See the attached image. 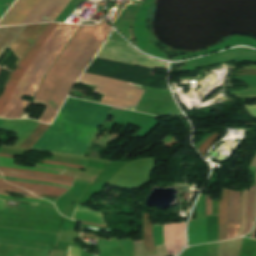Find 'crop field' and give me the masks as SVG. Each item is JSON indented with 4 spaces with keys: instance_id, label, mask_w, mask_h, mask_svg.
<instances>
[{
    "instance_id": "8a807250",
    "label": "crop field",
    "mask_w": 256,
    "mask_h": 256,
    "mask_svg": "<svg viewBox=\"0 0 256 256\" xmlns=\"http://www.w3.org/2000/svg\"><path fill=\"white\" fill-rule=\"evenodd\" d=\"M110 31L105 19L100 26L81 25L44 77L34 97L32 104L47 106L39 121L51 123L70 88Z\"/></svg>"
},
{
    "instance_id": "ac0d7876",
    "label": "crop field",
    "mask_w": 256,
    "mask_h": 256,
    "mask_svg": "<svg viewBox=\"0 0 256 256\" xmlns=\"http://www.w3.org/2000/svg\"><path fill=\"white\" fill-rule=\"evenodd\" d=\"M77 27L78 25L58 24L22 75L6 109L0 113V117L19 118L28 105V102H25L22 99L23 94L33 96L40 80Z\"/></svg>"
},
{
    "instance_id": "34b2d1b8",
    "label": "crop field",
    "mask_w": 256,
    "mask_h": 256,
    "mask_svg": "<svg viewBox=\"0 0 256 256\" xmlns=\"http://www.w3.org/2000/svg\"><path fill=\"white\" fill-rule=\"evenodd\" d=\"M79 82L97 86L95 92L104 94L101 102L134 110L145 87L83 73ZM94 92V91H93Z\"/></svg>"
},
{
    "instance_id": "412701ff",
    "label": "crop field",
    "mask_w": 256,
    "mask_h": 256,
    "mask_svg": "<svg viewBox=\"0 0 256 256\" xmlns=\"http://www.w3.org/2000/svg\"><path fill=\"white\" fill-rule=\"evenodd\" d=\"M44 25L45 23L1 27L0 55L4 48L8 47L12 49L20 60Z\"/></svg>"
},
{
    "instance_id": "f4fd0767",
    "label": "crop field",
    "mask_w": 256,
    "mask_h": 256,
    "mask_svg": "<svg viewBox=\"0 0 256 256\" xmlns=\"http://www.w3.org/2000/svg\"><path fill=\"white\" fill-rule=\"evenodd\" d=\"M98 57L120 61L128 64H136L148 68L166 69L167 63L154 58L146 57L138 53L127 44L107 40Z\"/></svg>"
},
{
    "instance_id": "dd49c442",
    "label": "crop field",
    "mask_w": 256,
    "mask_h": 256,
    "mask_svg": "<svg viewBox=\"0 0 256 256\" xmlns=\"http://www.w3.org/2000/svg\"><path fill=\"white\" fill-rule=\"evenodd\" d=\"M56 26H57V24H55V23H48V25L43 30V32L41 33V35L39 36V38L37 39L35 44L32 46V48L30 49V51L28 52V54L26 55L24 60L21 62V64L17 68V70L12 73V75H11V77H10L1 97H0V112L5 109V106H6L7 102L9 101L21 75L26 70V68L28 67L30 62L33 60L35 55L38 53V51L40 50V48L45 43V41L50 36V34L52 33V31L54 30V28Z\"/></svg>"
},
{
    "instance_id": "e52e79f7",
    "label": "crop field",
    "mask_w": 256,
    "mask_h": 256,
    "mask_svg": "<svg viewBox=\"0 0 256 256\" xmlns=\"http://www.w3.org/2000/svg\"><path fill=\"white\" fill-rule=\"evenodd\" d=\"M70 0H41L22 24L54 21Z\"/></svg>"
},
{
    "instance_id": "d8731c3e",
    "label": "crop field",
    "mask_w": 256,
    "mask_h": 256,
    "mask_svg": "<svg viewBox=\"0 0 256 256\" xmlns=\"http://www.w3.org/2000/svg\"><path fill=\"white\" fill-rule=\"evenodd\" d=\"M40 0H17L0 20V26L21 24Z\"/></svg>"
},
{
    "instance_id": "5a996713",
    "label": "crop field",
    "mask_w": 256,
    "mask_h": 256,
    "mask_svg": "<svg viewBox=\"0 0 256 256\" xmlns=\"http://www.w3.org/2000/svg\"><path fill=\"white\" fill-rule=\"evenodd\" d=\"M185 223L164 225L165 247L167 253L177 254L185 243Z\"/></svg>"
},
{
    "instance_id": "3316defc",
    "label": "crop field",
    "mask_w": 256,
    "mask_h": 256,
    "mask_svg": "<svg viewBox=\"0 0 256 256\" xmlns=\"http://www.w3.org/2000/svg\"><path fill=\"white\" fill-rule=\"evenodd\" d=\"M240 196L241 192L230 189L229 210H228V230L226 239L235 238L240 227Z\"/></svg>"
},
{
    "instance_id": "28ad6ade",
    "label": "crop field",
    "mask_w": 256,
    "mask_h": 256,
    "mask_svg": "<svg viewBox=\"0 0 256 256\" xmlns=\"http://www.w3.org/2000/svg\"><path fill=\"white\" fill-rule=\"evenodd\" d=\"M196 216H197V220H193V218L191 217L190 223H189V228H188L189 245L202 243L201 233H200V217H201L202 240H203V243L206 242V222H205V217H202V208H201L200 198L196 204Z\"/></svg>"
},
{
    "instance_id": "d1516ede",
    "label": "crop field",
    "mask_w": 256,
    "mask_h": 256,
    "mask_svg": "<svg viewBox=\"0 0 256 256\" xmlns=\"http://www.w3.org/2000/svg\"><path fill=\"white\" fill-rule=\"evenodd\" d=\"M6 181H8V180H6ZM8 182H10L14 185H17L21 188H25L35 195L43 196V197L57 198L63 192L66 191V189L52 187V186H46V185L23 183V182H16V181H8Z\"/></svg>"
},
{
    "instance_id": "22f410ed",
    "label": "crop field",
    "mask_w": 256,
    "mask_h": 256,
    "mask_svg": "<svg viewBox=\"0 0 256 256\" xmlns=\"http://www.w3.org/2000/svg\"><path fill=\"white\" fill-rule=\"evenodd\" d=\"M228 192H229V189L222 187L220 198H219V210H218V220H219L218 241L224 240L226 236Z\"/></svg>"
},
{
    "instance_id": "cbeb9de0",
    "label": "crop field",
    "mask_w": 256,
    "mask_h": 256,
    "mask_svg": "<svg viewBox=\"0 0 256 256\" xmlns=\"http://www.w3.org/2000/svg\"><path fill=\"white\" fill-rule=\"evenodd\" d=\"M73 219H75L77 221H82V222L106 225V224H104L99 212L82 209V208H78V207L76 208V210L73 214Z\"/></svg>"
},
{
    "instance_id": "5142ce71",
    "label": "crop field",
    "mask_w": 256,
    "mask_h": 256,
    "mask_svg": "<svg viewBox=\"0 0 256 256\" xmlns=\"http://www.w3.org/2000/svg\"><path fill=\"white\" fill-rule=\"evenodd\" d=\"M151 214H143V239L146 252L155 254L152 238V223L148 220Z\"/></svg>"
},
{
    "instance_id": "d9b57169",
    "label": "crop field",
    "mask_w": 256,
    "mask_h": 256,
    "mask_svg": "<svg viewBox=\"0 0 256 256\" xmlns=\"http://www.w3.org/2000/svg\"><path fill=\"white\" fill-rule=\"evenodd\" d=\"M207 222V242L217 241L218 220L217 215L206 217Z\"/></svg>"
},
{
    "instance_id": "733c2abd",
    "label": "crop field",
    "mask_w": 256,
    "mask_h": 256,
    "mask_svg": "<svg viewBox=\"0 0 256 256\" xmlns=\"http://www.w3.org/2000/svg\"><path fill=\"white\" fill-rule=\"evenodd\" d=\"M49 125L40 123L38 127L33 131V133L28 137V139L23 143L21 147L30 148L34 142L45 132Z\"/></svg>"
},
{
    "instance_id": "4a817a6b",
    "label": "crop field",
    "mask_w": 256,
    "mask_h": 256,
    "mask_svg": "<svg viewBox=\"0 0 256 256\" xmlns=\"http://www.w3.org/2000/svg\"><path fill=\"white\" fill-rule=\"evenodd\" d=\"M253 195H254V185L252 186V188L249 189V192H248V201H247L248 220H247V227H246L245 233L250 232V228L252 225Z\"/></svg>"
},
{
    "instance_id": "bc2a9ffb",
    "label": "crop field",
    "mask_w": 256,
    "mask_h": 256,
    "mask_svg": "<svg viewBox=\"0 0 256 256\" xmlns=\"http://www.w3.org/2000/svg\"><path fill=\"white\" fill-rule=\"evenodd\" d=\"M0 191L32 195L23 189L14 187V186L4 182L3 180H0Z\"/></svg>"
},
{
    "instance_id": "214f88e0",
    "label": "crop field",
    "mask_w": 256,
    "mask_h": 256,
    "mask_svg": "<svg viewBox=\"0 0 256 256\" xmlns=\"http://www.w3.org/2000/svg\"><path fill=\"white\" fill-rule=\"evenodd\" d=\"M153 237L155 246L164 243L163 226H153Z\"/></svg>"
},
{
    "instance_id": "92a150f3",
    "label": "crop field",
    "mask_w": 256,
    "mask_h": 256,
    "mask_svg": "<svg viewBox=\"0 0 256 256\" xmlns=\"http://www.w3.org/2000/svg\"><path fill=\"white\" fill-rule=\"evenodd\" d=\"M12 161H15V160L11 159V158H5V157H1L0 156V163L12 164ZM0 166L12 167V168H20V169H28V170H36V171H44V172H50V173H56L57 174V172H55V171H48V170H42V169H36V168L18 167V166H10V165H2V164H0Z\"/></svg>"
},
{
    "instance_id": "dafd665d",
    "label": "crop field",
    "mask_w": 256,
    "mask_h": 256,
    "mask_svg": "<svg viewBox=\"0 0 256 256\" xmlns=\"http://www.w3.org/2000/svg\"><path fill=\"white\" fill-rule=\"evenodd\" d=\"M2 174L6 175V176L25 178V179H30V180L45 181V182L58 183V184H64V185L71 186L70 183H65V182H61V181H55V180H49V179H37V178L25 177V176H20V175H12V174H4V173H2Z\"/></svg>"
},
{
    "instance_id": "00972430",
    "label": "crop field",
    "mask_w": 256,
    "mask_h": 256,
    "mask_svg": "<svg viewBox=\"0 0 256 256\" xmlns=\"http://www.w3.org/2000/svg\"><path fill=\"white\" fill-rule=\"evenodd\" d=\"M0 168H1V169L12 170V171L25 172V173H33V174H41V175L56 176V177L65 178V179H71V180L74 179V178H72V177H66V176L55 175V174H50V173L34 172V171H25V170H18V169H12V168H3V167H0Z\"/></svg>"
},
{
    "instance_id": "a9b5d70f",
    "label": "crop field",
    "mask_w": 256,
    "mask_h": 256,
    "mask_svg": "<svg viewBox=\"0 0 256 256\" xmlns=\"http://www.w3.org/2000/svg\"><path fill=\"white\" fill-rule=\"evenodd\" d=\"M0 172L12 173V174H20V175H26V176H31V177H37V178H50V179H56V180L70 182V183L73 182V181L63 180V179H59V178H55V177H49V176L31 175V174H24V173L12 172V171H1V170H0Z\"/></svg>"
},
{
    "instance_id": "4177f3b9",
    "label": "crop field",
    "mask_w": 256,
    "mask_h": 256,
    "mask_svg": "<svg viewBox=\"0 0 256 256\" xmlns=\"http://www.w3.org/2000/svg\"><path fill=\"white\" fill-rule=\"evenodd\" d=\"M4 179L16 180V181H24V182H32V183H40V184H47V185H52V186L69 188L68 186H64V185H57V184H51V183H45V182L30 181V180H24V179H18V178L6 177V176H4Z\"/></svg>"
},
{
    "instance_id": "730fd06b",
    "label": "crop field",
    "mask_w": 256,
    "mask_h": 256,
    "mask_svg": "<svg viewBox=\"0 0 256 256\" xmlns=\"http://www.w3.org/2000/svg\"><path fill=\"white\" fill-rule=\"evenodd\" d=\"M5 200H7V201H12V202L31 203V204H35V205H36V203H37V202H33V201L10 200V199L0 198V210L3 209Z\"/></svg>"
},
{
    "instance_id": "eef30255",
    "label": "crop field",
    "mask_w": 256,
    "mask_h": 256,
    "mask_svg": "<svg viewBox=\"0 0 256 256\" xmlns=\"http://www.w3.org/2000/svg\"><path fill=\"white\" fill-rule=\"evenodd\" d=\"M218 133L215 132L209 139H207L200 147L199 152L202 153L203 150L207 147V145L212 141V139L217 135Z\"/></svg>"
},
{
    "instance_id": "ae1a2a85",
    "label": "crop field",
    "mask_w": 256,
    "mask_h": 256,
    "mask_svg": "<svg viewBox=\"0 0 256 256\" xmlns=\"http://www.w3.org/2000/svg\"><path fill=\"white\" fill-rule=\"evenodd\" d=\"M211 214V199L209 196H206V215Z\"/></svg>"
},
{
    "instance_id": "d3111659",
    "label": "crop field",
    "mask_w": 256,
    "mask_h": 256,
    "mask_svg": "<svg viewBox=\"0 0 256 256\" xmlns=\"http://www.w3.org/2000/svg\"><path fill=\"white\" fill-rule=\"evenodd\" d=\"M41 162H47V163H54V164L67 165V166H71V167H75V168H81V167H83V166H79V165L66 164V163H58V162H49V161H41Z\"/></svg>"
},
{
    "instance_id": "750c4746",
    "label": "crop field",
    "mask_w": 256,
    "mask_h": 256,
    "mask_svg": "<svg viewBox=\"0 0 256 256\" xmlns=\"http://www.w3.org/2000/svg\"><path fill=\"white\" fill-rule=\"evenodd\" d=\"M69 250H70V248H69ZM69 250H68V255H69ZM69 256H79V251L71 248Z\"/></svg>"
},
{
    "instance_id": "bd1437ed",
    "label": "crop field",
    "mask_w": 256,
    "mask_h": 256,
    "mask_svg": "<svg viewBox=\"0 0 256 256\" xmlns=\"http://www.w3.org/2000/svg\"><path fill=\"white\" fill-rule=\"evenodd\" d=\"M0 197L10 198V197H7V196H1V195H0ZM11 199L33 200V201H40V202H46V203H49L48 201H42V200H36V199H30V198H11Z\"/></svg>"
},
{
    "instance_id": "1d83c4d3",
    "label": "crop field",
    "mask_w": 256,
    "mask_h": 256,
    "mask_svg": "<svg viewBox=\"0 0 256 256\" xmlns=\"http://www.w3.org/2000/svg\"><path fill=\"white\" fill-rule=\"evenodd\" d=\"M253 217L256 218V188H255V198H254V206H253Z\"/></svg>"
},
{
    "instance_id": "120bbe31",
    "label": "crop field",
    "mask_w": 256,
    "mask_h": 256,
    "mask_svg": "<svg viewBox=\"0 0 256 256\" xmlns=\"http://www.w3.org/2000/svg\"><path fill=\"white\" fill-rule=\"evenodd\" d=\"M34 164H35V163H34ZM35 165L64 168V166H61V165H52V164H35Z\"/></svg>"
},
{
    "instance_id": "d32e631a",
    "label": "crop field",
    "mask_w": 256,
    "mask_h": 256,
    "mask_svg": "<svg viewBox=\"0 0 256 256\" xmlns=\"http://www.w3.org/2000/svg\"><path fill=\"white\" fill-rule=\"evenodd\" d=\"M255 234H256V221L253 225V228H252V235H251V238H255Z\"/></svg>"
},
{
    "instance_id": "5866460e",
    "label": "crop field",
    "mask_w": 256,
    "mask_h": 256,
    "mask_svg": "<svg viewBox=\"0 0 256 256\" xmlns=\"http://www.w3.org/2000/svg\"><path fill=\"white\" fill-rule=\"evenodd\" d=\"M255 164H256V156H255V158H254V160H253V162H252V164L250 166V169L255 170Z\"/></svg>"
},
{
    "instance_id": "028f5c9d",
    "label": "crop field",
    "mask_w": 256,
    "mask_h": 256,
    "mask_svg": "<svg viewBox=\"0 0 256 256\" xmlns=\"http://www.w3.org/2000/svg\"><path fill=\"white\" fill-rule=\"evenodd\" d=\"M204 199L205 195L202 196V208H203V216L205 215V209H204Z\"/></svg>"
},
{
    "instance_id": "e1f06a70",
    "label": "crop field",
    "mask_w": 256,
    "mask_h": 256,
    "mask_svg": "<svg viewBox=\"0 0 256 256\" xmlns=\"http://www.w3.org/2000/svg\"><path fill=\"white\" fill-rule=\"evenodd\" d=\"M219 136V134L213 139V141L209 144V146L215 141V139ZM217 140V139H216ZM209 146L205 149V151L203 152V156L205 155L207 149L209 148Z\"/></svg>"
},
{
    "instance_id": "0bd39190",
    "label": "crop field",
    "mask_w": 256,
    "mask_h": 256,
    "mask_svg": "<svg viewBox=\"0 0 256 256\" xmlns=\"http://www.w3.org/2000/svg\"><path fill=\"white\" fill-rule=\"evenodd\" d=\"M0 194H1V195H7L6 193H2V192H0ZM7 196H9V195H7ZM20 196H24V195H20ZM24 197L36 198V197H34V196H24ZM37 199H40V198H37Z\"/></svg>"
},
{
    "instance_id": "b80d0937",
    "label": "crop field",
    "mask_w": 256,
    "mask_h": 256,
    "mask_svg": "<svg viewBox=\"0 0 256 256\" xmlns=\"http://www.w3.org/2000/svg\"><path fill=\"white\" fill-rule=\"evenodd\" d=\"M4 10H5V8L0 7V16H1V14L4 12Z\"/></svg>"
},
{
    "instance_id": "c035e120",
    "label": "crop field",
    "mask_w": 256,
    "mask_h": 256,
    "mask_svg": "<svg viewBox=\"0 0 256 256\" xmlns=\"http://www.w3.org/2000/svg\"><path fill=\"white\" fill-rule=\"evenodd\" d=\"M1 156H6V157H11V158H13L14 156H12V155H7V154H0Z\"/></svg>"
},
{
    "instance_id": "c21b1889",
    "label": "crop field",
    "mask_w": 256,
    "mask_h": 256,
    "mask_svg": "<svg viewBox=\"0 0 256 256\" xmlns=\"http://www.w3.org/2000/svg\"><path fill=\"white\" fill-rule=\"evenodd\" d=\"M85 224H89V223H85ZM91 225H96V224H91ZM98 226H103V225H98ZM104 227H107V226H104Z\"/></svg>"
},
{
    "instance_id": "03da06ac",
    "label": "crop field",
    "mask_w": 256,
    "mask_h": 256,
    "mask_svg": "<svg viewBox=\"0 0 256 256\" xmlns=\"http://www.w3.org/2000/svg\"><path fill=\"white\" fill-rule=\"evenodd\" d=\"M0 178H1V179H3V177H2V176H0Z\"/></svg>"
},
{
    "instance_id": "b54c1fbb",
    "label": "crop field",
    "mask_w": 256,
    "mask_h": 256,
    "mask_svg": "<svg viewBox=\"0 0 256 256\" xmlns=\"http://www.w3.org/2000/svg\"><path fill=\"white\" fill-rule=\"evenodd\" d=\"M1 175V174H0Z\"/></svg>"
},
{
    "instance_id": "5d738f31",
    "label": "crop field",
    "mask_w": 256,
    "mask_h": 256,
    "mask_svg": "<svg viewBox=\"0 0 256 256\" xmlns=\"http://www.w3.org/2000/svg\"><path fill=\"white\" fill-rule=\"evenodd\" d=\"M256 110V109H255Z\"/></svg>"
}]
</instances>
